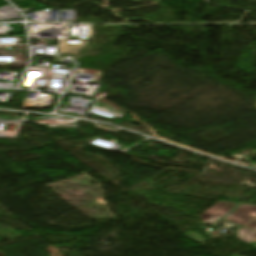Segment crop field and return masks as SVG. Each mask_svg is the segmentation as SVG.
<instances>
[{
	"label": "crop field",
	"mask_w": 256,
	"mask_h": 256,
	"mask_svg": "<svg viewBox=\"0 0 256 256\" xmlns=\"http://www.w3.org/2000/svg\"><path fill=\"white\" fill-rule=\"evenodd\" d=\"M226 219L243 226L237 232L239 233L237 237L240 241H256V207L241 205L237 211ZM252 229L254 230L251 231Z\"/></svg>",
	"instance_id": "crop-field-1"
},
{
	"label": "crop field",
	"mask_w": 256,
	"mask_h": 256,
	"mask_svg": "<svg viewBox=\"0 0 256 256\" xmlns=\"http://www.w3.org/2000/svg\"><path fill=\"white\" fill-rule=\"evenodd\" d=\"M236 204L219 202L210 210L206 211L201 215V218L205 221L204 223L212 224L219 218L224 216L226 213L231 211Z\"/></svg>",
	"instance_id": "crop-field-2"
}]
</instances>
